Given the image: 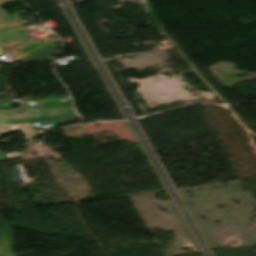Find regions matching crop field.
I'll list each match as a JSON object with an SVG mask.
<instances>
[{
	"mask_svg": "<svg viewBox=\"0 0 256 256\" xmlns=\"http://www.w3.org/2000/svg\"><path fill=\"white\" fill-rule=\"evenodd\" d=\"M79 119L73 107L41 109L29 108L27 103L13 111L0 112V124Z\"/></svg>",
	"mask_w": 256,
	"mask_h": 256,
	"instance_id": "8a807250",
	"label": "crop field"
},
{
	"mask_svg": "<svg viewBox=\"0 0 256 256\" xmlns=\"http://www.w3.org/2000/svg\"><path fill=\"white\" fill-rule=\"evenodd\" d=\"M0 256H15L13 223L0 217Z\"/></svg>",
	"mask_w": 256,
	"mask_h": 256,
	"instance_id": "ac0d7876",
	"label": "crop field"
},
{
	"mask_svg": "<svg viewBox=\"0 0 256 256\" xmlns=\"http://www.w3.org/2000/svg\"><path fill=\"white\" fill-rule=\"evenodd\" d=\"M14 129H18L24 132L25 136L36 135L32 123H25V124H10V125H0V133L2 132H9Z\"/></svg>",
	"mask_w": 256,
	"mask_h": 256,
	"instance_id": "34b2d1b8",
	"label": "crop field"
},
{
	"mask_svg": "<svg viewBox=\"0 0 256 256\" xmlns=\"http://www.w3.org/2000/svg\"><path fill=\"white\" fill-rule=\"evenodd\" d=\"M1 154L2 152L0 151V160H4L5 158Z\"/></svg>",
	"mask_w": 256,
	"mask_h": 256,
	"instance_id": "412701ff",
	"label": "crop field"
}]
</instances>
